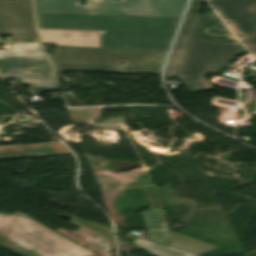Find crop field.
I'll use <instances>...</instances> for the list:
<instances>
[{
    "label": "crop field",
    "mask_w": 256,
    "mask_h": 256,
    "mask_svg": "<svg viewBox=\"0 0 256 256\" xmlns=\"http://www.w3.org/2000/svg\"><path fill=\"white\" fill-rule=\"evenodd\" d=\"M92 0H35L36 13L91 14Z\"/></svg>",
    "instance_id": "28ad6ade"
},
{
    "label": "crop field",
    "mask_w": 256,
    "mask_h": 256,
    "mask_svg": "<svg viewBox=\"0 0 256 256\" xmlns=\"http://www.w3.org/2000/svg\"><path fill=\"white\" fill-rule=\"evenodd\" d=\"M38 28L105 29L101 48L77 47L72 69L158 75L179 18L36 14ZM126 63V66H122Z\"/></svg>",
    "instance_id": "8a807250"
},
{
    "label": "crop field",
    "mask_w": 256,
    "mask_h": 256,
    "mask_svg": "<svg viewBox=\"0 0 256 256\" xmlns=\"http://www.w3.org/2000/svg\"><path fill=\"white\" fill-rule=\"evenodd\" d=\"M75 48L76 47L56 45L52 64L57 73L70 70Z\"/></svg>",
    "instance_id": "5142ce71"
},
{
    "label": "crop field",
    "mask_w": 256,
    "mask_h": 256,
    "mask_svg": "<svg viewBox=\"0 0 256 256\" xmlns=\"http://www.w3.org/2000/svg\"><path fill=\"white\" fill-rule=\"evenodd\" d=\"M71 154L61 142L0 147V159Z\"/></svg>",
    "instance_id": "5a996713"
},
{
    "label": "crop field",
    "mask_w": 256,
    "mask_h": 256,
    "mask_svg": "<svg viewBox=\"0 0 256 256\" xmlns=\"http://www.w3.org/2000/svg\"><path fill=\"white\" fill-rule=\"evenodd\" d=\"M44 43L100 47L97 32L39 30Z\"/></svg>",
    "instance_id": "3316defc"
},
{
    "label": "crop field",
    "mask_w": 256,
    "mask_h": 256,
    "mask_svg": "<svg viewBox=\"0 0 256 256\" xmlns=\"http://www.w3.org/2000/svg\"><path fill=\"white\" fill-rule=\"evenodd\" d=\"M0 35H11L14 42L30 37L40 43L34 30L31 0L0 1Z\"/></svg>",
    "instance_id": "dd49c442"
},
{
    "label": "crop field",
    "mask_w": 256,
    "mask_h": 256,
    "mask_svg": "<svg viewBox=\"0 0 256 256\" xmlns=\"http://www.w3.org/2000/svg\"><path fill=\"white\" fill-rule=\"evenodd\" d=\"M244 51L214 12L200 16L176 77L189 92L211 88L202 73L218 72Z\"/></svg>",
    "instance_id": "ac0d7876"
},
{
    "label": "crop field",
    "mask_w": 256,
    "mask_h": 256,
    "mask_svg": "<svg viewBox=\"0 0 256 256\" xmlns=\"http://www.w3.org/2000/svg\"><path fill=\"white\" fill-rule=\"evenodd\" d=\"M252 114H256V99H255V103H254Z\"/></svg>",
    "instance_id": "4a817a6b"
},
{
    "label": "crop field",
    "mask_w": 256,
    "mask_h": 256,
    "mask_svg": "<svg viewBox=\"0 0 256 256\" xmlns=\"http://www.w3.org/2000/svg\"><path fill=\"white\" fill-rule=\"evenodd\" d=\"M133 244L156 256H199L140 238L133 241Z\"/></svg>",
    "instance_id": "cbeb9de0"
},
{
    "label": "crop field",
    "mask_w": 256,
    "mask_h": 256,
    "mask_svg": "<svg viewBox=\"0 0 256 256\" xmlns=\"http://www.w3.org/2000/svg\"><path fill=\"white\" fill-rule=\"evenodd\" d=\"M71 221L107 238L110 240L109 245L106 249V251L108 252H112L115 251V247H114V238H113V231L111 227H107V226H103L100 224H96L93 222H89V221H85V220H81V219H76L73 218Z\"/></svg>",
    "instance_id": "d9b57169"
},
{
    "label": "crop field",
    "mask_w": 256,
    "mask_h": 256,
    "mask_svg": "<svg viewBox=\"0 0 256 256\" xmlns=\"http://www.w3.org/2000/svg\"><path fill=\"white\" fill-rule=\"evenodd\" d=\"M186 0H93L92 14L180 17Z\"/></svg>",
    "instance_id": "f4fd0767"
},
{
    "label": "crop field",
    "mask_w": 256,
    "mask_h": 256,
    "mask_svg": "<svg viewBox=\"0 0 256 256\" xmlns=\"http://www.w3.org/2000/svg\"><path fill=\"white\" fill-rule=\"evenodd\" d=\"M172 233H173V238L162 244L173 247V248L181 249L184 251L192 252L195 254H199V255H202L204 253H207L219 248L214 245L202 242L200 240H197L185 235H181L175 232H172Z\"/></svg>",
    "instance_id": "22f410ed"
},
{
    "label": "crop field",
    "mask_w": 256,
    "mask_h": 256,
    "mask_svg": "<svg viewBox=\"0 0 256 256\" xmlns=\"http://www.w3.org/2000/svg\"><path fill=\"white\" fill-rule=\"evenodd\" d=\"M41 45L14 43V50H0V75L20 77L31 94L59 90Z\"/></svg>",
    "instance_id": "412701ff"
},
{
    "label": "crop field",
    "mask_w": 256,
    "mask_h": 256,
    "mask_svg": "<svg viewBox=\"0 0 256 256\" xmlns=\"http://www.w3.org/2000/svg\"><path fill=\"white\" fill-rule=\"evenodd\" d=\"M202 1L203 0H191L182 27L175 42L172 54L170 56L164 77L176 75L184 50L197 21L198 17H196V15L199 13Z\"/></svg>",
    "instance_id": "d8731c3e"
},
{
    "label": "crop field",
    "mask_w": 256,
    "mask_h": 256,
    "mask_svg": "<svg viewBox=\"0 0 256 256\" xmlns=\"http://www.w3.org/2000/svg\"><path fill=\"white\" fill-rule=\"evenodd\" d=\"M250 53L256 56V34L243 43Z\"/></svg>",
    "instance_id": "733c2abd"
},
{
    "label": "crop field",
    "mask_w": 256,
    "mask_h": 256,
    "mask_svg": "<svg viewBox=\"0 0 256 256\" xmlns=\"http://www.w3.org/2000/svg\"><path fill=\"white\" fill-rule=\"evenodd\" d=\"M208 2L242 43L256 33V0H208Z\"/></svg>",
    "instance_id": "e52e79f7"
},
{
    "label": "crop field",
    "mask_w": 256,
    "mask_h": 256,
    "mask_svg": "<svg viewBox=\"0 0 256 256\" xmlns=\"http://www.w3.org/2000/svg\"><path fill=\"white\" fill-rule=\"evenodd\" d=\"M0 247L18 256H96L23 215L0 214Z\"/></svg>",
    "instance_id": "34b2d1b8"
},
{
    "label": "crop field",
    "mask_w": 256,
    "mask_h": 256,
    "mask_svg": "<svg viewBox=\"0 0 256 256\" xmlns=\"http://www.w3.org/2000/svg\"><path fill=\"white\" fill-rule=\"evenodd\" d=\"M164 208L141 212L148 237L156 242L170 238V232L164 215Z\"/></svg>",
    "instance_id": "d1516ede"
}]
</instances>
